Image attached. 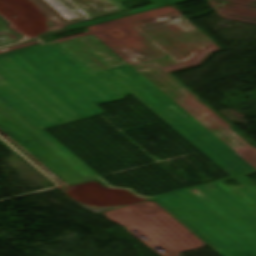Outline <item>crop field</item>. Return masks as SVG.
Instances as JSON below:
<instances>
[{"instance_id":"8a807250","label":"crop field","mask_w":256,"mask_h":256,"mask_svg":"<svg viewBox=\"0 0 256 256\" xmlns=\"http://www.w3.org/2000/svg\"><path fill=\"white\" fill-rule=\"evenodd\" d=\"M128 93L243 185L217 182L159 199L228 256H256V184L245 176L256 171L95 37L0 55V107L80 180L98 175L42 129L103 113L96 105Z\"/></svg>"},{"instance_id":"ac0d7876","label":"crop field","mask_w":256,"mask_h":256,"mask_svg":"<svg viewBox=\"0 0 256 256\" xmlns=\"http://www.w3.org/2000/svg\"><path fill=\"white\" fill-rule=\"evenodd\" d=\"M87 29L130 66L170 56L133 69L256 170V148L168 74L199 65L211 52L220 50L183 15L165 7Z\"/></svg>"},{"instance_id":"34b2d1b8","label":"crop field","mask_w":256,"mask_h":256,"mask_svg":"<svg viewBox=\"0 0 256 256\" xmlns=\"http://www.w3.org/2000/svg\"><path fill=\"white\" fill-rule=\"evenodd\" d=\"M11 4H13L15 7H17L19 10H21L23 13H25L27 16H29L31 19H33L35 22H46L47 19L44 15L39 13V8L35 6L31 1L29 0H7ZM39 2L43 7H45L48 11H50L54 16H56L59 20L63 22L61 24L62 28L61 30H58L56 32L46 34L43 36H39L37 38L89 26L92 24H96L99 22L107 21L110 19H114L117 17L125 16V14L119 10L117 7H115L113 4H111L108 0H69L73 5H75L79 10H81L85 15H87L89 18L84 16L81 12H79L74 6H72L68 1L66 0H60L65 5H67L69 8H71L74 12H76L79 16H81L83 19H80L77 17L74 13H72L69 9H67L65 6H63L60 2L57 0H45L48 2L51 6H53L55 9H57L61 15H63L68 21H66L64 18H62L56 11H54L47 3H45L43 0H36ZM117 12L118 14L112 15L109 17H105L96 21L91 22H85V23H79L75 25H71L68 27H65L64 25H68L71 23L87 20L93 17L109 14ZM60 26V27H61Z\"/></svg>"},{"instance_id":"412701ff","label":"crop field","mask_w":256,"mask_h":256,"mask_svg":"<svg viewBox=\"0 0 256 256\" xmlns=\"http://www.w3.org/2000/svg\"><path fill=\"white\" fill-rule=\"evenodd\" d=\"M0 128L65 182L70 183L79 180L42 150L44 148H48V146H46L42 141H40L36 136H34L1 108ZM25 141L29 142L30 146Z\"/></svg>"},{"instance_id":"f4fd0767","label":"crop field","mask_w":256,"mask_h":256,"mask_svg":"<svg viewBox=\"0 0 256 256\" xmlns=\"http://www.w3.org/2000/svg\"><path fill=\"white\" fill-rule=\"evenodd\" d=\"M157 202L161 207H163L167 212H169L173 217H175L179 222H181L185 227H187L191 232H193L197 237H199L203 242H205L209 247H211L215 252H217L220 256H227L224 252H222L218 247H216L213 243H211L207 238H205L202 234H200L196 229H194L190 224H188L185 220H183L179 215H177L174 211H172L168 206H166L162 201L158 198L153 199Z\"/></svg>"},{"instance_id":"dd49c442","label":"crop field","mask_w":256,"mask_h":256,"mask_svg":"<svg viewBox=\"0 0 256 256\" xmlns=\"http://www.w3.org/2000/svg\"><path fill=\"white\" fill-rule=\"evenodd\" d=\"M19 37L9 25L0 20V45L15 42Z\"/></svg>"},{"instance_id":"e52e79f7","label":"crop field","mask_w":256,"mask_h":256,"mask_svg":"<svg viewBox=\"0 0 256 256\" xmlns=\"http://www.w3.org/2000/svg\"><path fill=\"white\" fill-rule=\"evenodd\" d=\"M0 135L4 137L8 142H12L17 147H19L21 150H23L28 156H30L36 164H38L43 170H45L50 176H52L57 182H59L61 185L66 184L63 181L59 180L57 176H55L53 173H51L45 166H43L39 161H37L32 155H30L26 150H24L19 144H17L15 141H13L7 134H5L3 131H0Z\"/></svg>"},{"instance_id":"d8731c3e","label":"crop field","mask_w":256,"mask_h":256,"mask_svg":"<svg viewBox=\"0 0 256 256\" xmlns=\"http://www.w3.org/2000/svg\"><path fill=\"white\" fill-rule=\"evenodd\" d=\"M183 1H187V0H166V1H163V2L155 3L156 5L151 4V5L143 6V7H140V8L132 9V10H129V11H125L124 13L126 15H128V14H132V13H136V12L156 8V7H159V6L175 4V3H179V2H183Z\"/></svg>"},{"instance_id":"5a996713","label":"crop field","mask_w":256,"mask_h":256,"mask_svg":"<svg viewBox=\"0 0 256 256\" xmlns=\"http://www.w3.org/2000/svg\"><path fill=\"white\" fill-rule=\"evenodd\" d=\"M34 45H38V43L36 41H34V42L19 45V46L7 48V49H4V50H0V54L10 52V51H14V50H18V49H22V48H26V47H30V46H34Z\"/></svg>"},{"instance_id":"3316defc","label":"crop field","mask_w":256,"mask_h":256,"mask_svg":"<svg viewBox=\"0 0 256 256\" xmlns=\"http://www.w3.org/2000/svg\"><path fill=\"white\" fill-rule=\"evenodd\" d=\"M110 2H112L114 5H116L118 8H120L121 10L126 9L124 6H122L119 2L121 1H125V0H109ZM153 3L155 2H159L162 0H151Z\"/></svg>"}]
</instances>
